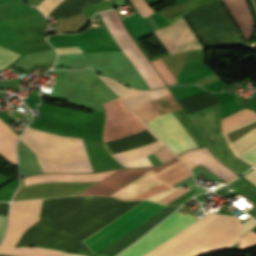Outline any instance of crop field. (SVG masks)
I'll use <instances>...</instances> for the list:
<instances>
[{
	"label": "crop field",
	"mask_w": 256,
	"mask_h": 256,
	"mask_svg": "<svg viewBox=\"0 0 256 256\" xmlns=\"http://www.w3.org/2000/svg\"><path fill=\"white\" fill-rule=\"evenodd\" d=\"M103 198V196H76L26 230L16 247L39 244ZM141 201H122L106 197L39 245L89 252L90 250L80 242L81 240Z\"/></svg>",
	"instance_id": "crop-field-1"
},
{
	"label": "crop field",
	"mask_w": 256,
	"mask_h": 256,
	"mask_svg": "<svg viewBox=\"0 0 256 256\" xmlns=\"http://www.w3.org/2000/svg\"><path fill=\"white\" fill-rule=\"evenodd\" d=\"M20 140L36 154L43 173L93 172L82 139L26 129Z\"/></svg>",
	"instance_id": "crop-field-2"
},
{
	"label": "crop field",
	"mask_w": 256,
	"mask_h": 256,
	"mask_svg": "<svg viewBox=\"0 0 256 256\" xmlns=\"http://www.w3.org/2000/svg\"><path fill=\"white\" fill-rule=\"evenodd\" d=\"M72 197L44 199V208L43 199L12 203L7 235L1 244L0 253L12 256H61L64 252L44 248L14 247L24 231L42 218V208L45 216Z\"/></svg>",
	"instance_id": "crop-field-3"
},
{
	"label": "crop field",
	"mask_w": 256,
	"mask_h": 256,
	"mask_svg": "<svg viewBox=\"0 0 256 256\" xmlns=\"http://www.w3.org/2000/svg\"><path fill=\"white\" fill-rule=\"evenodd\" d=\"M186 15L205 46L244 43L218 0L199 6Z\"/></svg>",
	"instance_id": "crop-field-4"
},
{
	"label": "crop field",
	"mask_w": 256,
	"mask_h": 256,
	"mask_svg": "<svg viewBox=\"0 0 256 256\" xmlns=\"http://www.w3.org/2000/svg\"><path fill=\"white\" fill-rule=\"evenodd\" d=\"M166 207L145 200L81 242L97 254Z\"/></svg>",
	"instance_id": "crop-field-5"
},
{
	"label": "crop field",
	"mask_w": 256,
	"mask_h": 256,
	"mask_svg": "<svg viewBox=\"0 0 256 256\" xmlns=\"http://www.w3.org/2000/svg\"><path fill=\"white\" fill-rule=\"evenodd\" d=\"M234 218L236 217L208 214L145 256H182Z\"/></svg>",
	"instance_id": "crop-field-6"
},
{
	"label": "crop field",
	"mask_w": 256,
	"mask_h": 256,
	"mask_svg": "<svg viewBox=\"0 0 256 256\" xmlns=\"http://www.w3.org/2000/svg\"><path fill=\"white\" fill-rule=\"evenodd\" d=\"M220 105L189 114L212 152L240 175L251 168L250 165L235 158L220 134Z\"/></svg>",
	"instance_id": "crop-field-7"
},
{
	"label": "crop field",
	"mask_w": 256,
	"mask_h": 256,
	"mask_svg": "<svg viewBox=\"0 0 256 256\" xmlns=\"http://www.w3.org/2000/svg\"><path fill=\"white\" fill-rule=\"evenodd\" d=\"M196 220L189 213L184 216L176 211L119 256H143Z\"/></svg>",
	"instance_id": "crop-field-8"
},
{
	"label": "crop field",
	"mask_w": 256,
	"mask_h": 256,
	"mask_svg": "<svg viewBox=\"0 0 256 256\" xmlns=\"http://www.w3.org/2000/svg\"><path fill=\"white\" fill-rule=\"evenodd\" d=\"M104 23L110 29L115 39L119 43L120 47L130 59V61L137 67L143 78L146 80L150 88L164 86L161 79L154 72V70L149 66L146 60L143 58V54L138 51V47H135V43L130 40V36L128 37L125 32L123 26L118 20L114 10L106 11L100 13Z\"/></svg>",
	"instance_id": "crop-field-9"
},
{
	"label": "crop field",
	"mask_w": 256,
	"mask_h": 256,
	"mask_svg": "<svg viewBox=\"0 0 256 256\" xmlns=\"http://www.w3.org/2000/svg\"><path fill=\"white\" fill-rule=\"evenodd\" d=\"M145 124L176 154L197 147L172 112L161 114Z\"/></svg>",
	"instance_id": "crop-field-10"
},
{
	"label": "crop field",
	"mask_w": 256,
	"mask_h": 256,
	"mask_svg": "<svg viewBox=\"0 0 256 256\" xmlns=\"http://www.w3.org/2000/svg\"><path fill=\"white\" fill-rule=\"evenodd\" d=\"M154 32L170 54L202 48L183 17Z\"/></svg>",
	"instance_id": "crop-field-11"
},
{
	"label": "crop field",
	"mask_w": 256,
	"mask_h": 256,
	"mask_svg": "<svg viewBox=\"0 0 256 256\" xmlns=\"http://www.w3.org/2000/svg\"><path fill=\"white\" fill-rule=\"evenodd\" d=\"M238 235L239 221L236 218L183 256H202L206 253L219 252L233 244Z\"/></svg>",
	"instance_id": "crop-field-12"
},
{
	"label": "crop field",
	"mask_w": 256,
	"mask_h": 256,
	"mask_svg": "<svg viewBox=\"0 0 256 256\" xmlns=\"http://www.w3.org/2000/svg\"><path fill=\"white\" fill-rule=\"evenodd\" d=\"M178 157L191 169L199 164L204 165L227 182L238 177L215 159L207 148L187 152Z\"/></svg>",
	"instance_id": "crop-field-13"
},
{
	"label": "crop field",
	"mask_w": 256,
	"mask_h": 256,
	"mask_svg": "<svg viewBox=\"0 0 256 256\" xmlns=\"http://www.w3.org/2000/svg\"><path fill=\"white\" fill-rule=\"evenodd\" d=\"M179 206H169L154 217H152L150 220L100 252L99 256H115L120 251H122L124 248L129 246L131 243H133L135 240H137L139 237H141L144 233L149 231L151 228L156 226L159 222H161L165 217H167L171 212H173L176 208Z\"/></svg>",
	"instance_id": "crop-field-14"
},
{
	"label": "crop field",
	"mask_w": 256,
	"mask_h": 256,
	"mask_svg": "<svg viewBox=\"0 0 256 256\" xmlns=\"http://www.w3.org/2000/svg\"><path fill=\"white\" fill-rule=\"evenodd\" d=\"M102 79L124 99L132 111L152 99L169 94L166 88L151 91H137L132 88L129 89L112 79L106 77H102Z\"/></svg>",
	"instance_id": "crop-field-15"
},
{
	"label": "crop field",
	"mask_w": 256,
	"mask_h": 256,
	"mask_svg": "<svg viewBox=\"0 0 256 256\" xmlns=\"http://www.w3.org/2000/svg\"><path fill=\"white\" fill-rule=\"evenodd\" d=\"M164 146L159 140L150 144L136 147L124 152L111 154L115 159L126 167H144L151 166L146 156L156 152Z\"/></svg>",
	"instance_id": "crop-field-16"
},
{
	"label": "crop field",
	"mask_w": 256,
	"mask_h": 256,
	"mask_svg": "<svg viewBox=\"0 0 256 256\" xmlns=\"http://www.w3.org/2000/svg\"><path fill=\"white\" fill-rule=\"evenodd\" d=\"M235 21L242 30L247 42L253 30V20L245 0H223Z\"/></svg>",
	"instance_id": "crop-field-17"
},
{
	"label": "crop field",
	"mask_w": 256,
	"mask_h": 256,
	"mask_svg": "<svg viewBox=\"0 0 256 256\" xmlns=\"http://www.w3.org/2000/svg\"><path fill=\"white\" fill-rule=\"evenodd\" d=\"M254 118H256V113L243 109L222 120L223 132Z\"/></svg>",
	"instance_id": "crop-field-18"
},
{
	"label": "crop field",
	"mask_w": 256,
	"mask_h": 256,
	"mask_svg": "<svg viewBox=\"0 0 256 256\" xmlns=\"http://www.w3.org/2000/svg\"><path fill=\"white\" fill-rule=\"evenodd\" d=\"M190 175H192L191 171L181 163L157 177L172 185Z\"/></svg>",
	"instance_id": "crop-field-19"
},
{
	"label": "crop field",
	"mask_w": 256,
	"mask_h": 256,
	"mask_svg": "<svg viewBox=\"0 0 256 256\" xmlns=\"http://www.w3.org/2000/svg\"><path fill=\"white\" fill-rule=\"evenodd\" d=\"M135 115L143 122H147L151 118L159 115L152 104L149 102L144 106L138 108L137 110L133 111Z\"/></svg>",
	"instance_id": "crop-field-20"
},
{
	"label": "crop field",
	"mask_w": 256,
	"mask_h": 256,
	"mask_svg": "<svg viewBox=\"0 0 256 256\" xmlns=\"http://www.w3.org/2000/svg\"><path fill=\"white\" fill-rule=\"evenodd\" d=\"M18 56L19 55L0 47V69L7 66L9 63L15 60Z\"/></svg>",
	"instance_id": "crop-field-21"
},
{
	"label": "crop field",
	"mask_w": 256,
	"mask_h": 256,
	"mask_svg": "<svg viewBox=\"0 0 256 256\" xmlns=\"http://www.w3.org/2000/svg\"><path fill=\"white\" fill-rule=\"evenodd\" d=\"M138 11L141 13L143 18L149 16L150 14L156 12L153 10L145 0H132Z\"/></svg>",
	"instance_id": "crop-field-22"
},
{
	"label": "crop field",
	"mask_w": 256,
	"mask_h": 256,
	"mask_svg": "<svg viewBox=\"0 0 256 256\" xmlns=\"http://www.w3.org/2000/svg\"><path fill=\"white\" fill-rule=\"evenodd\" d=\"M158 159L164 163L170 159H172L173 157H175L172 152L166 148V147H163L161 150H159L158 152L154 153Z\"/></svg>",
	"instance_id": "crop-field-23"
},
{
	"label": "crop field",
	"mask_w": 256,
	"mask_h": 256,
	"mask_svg": "<svg viewBox=\"0 0 256 256\" xmlns=\"http://www.w3.org/2000/svg\"><path fill=\"white\" fill-rule=\"evenodd\" d=\"M191 189L189 188H180L178 190H176L175 192L169 194L168 196L164 197L161 201H159L160 203H164L167 204L169 202H171L172 200H174L175 198L179 197L180 195H182L183 193L189 191Z\"/></svg>",
	"instance_id": "crop-field-24"
},
{
	"label": "crop field",
	"mask_w": 256,
	"mask_h": 256,
	"mask_svg": "<svg viewBox=\"0 0 256 256\" xmlns=\"http://www.w3.org/2000/svg\"><path fill=\"white\" fill-rule=\"evenodd\" d=\"M238 158H240L252 165L256 164V146Z\"/></svg>",
	"instance_id": "crop-field-25"
},
{
	"label": "crop field",
	"mask_w": 256,
	"mask_h": 256,
	"mask_svg": "<svg viewBox=\"0 0 256 256\" xmlns=\"http://www.w3.org/2000/svg\"><path fill=\"white\" fill-rule=\"evenodd\" d=\"M256 226V220L249 219L248 221L241 224V236L244 235L247 231L251 230L253 227Z\"/></svg>",
	"instance_id": "crop-field-26"
},
{
	"label": "crop field",
	"mask_w": 256,
	"mask_h": 256,
	"mask_svg": "<svg viewBox=\"0 0 256 256\" xmlns=\"http://www.w3.org/2000/svg\"><path fill=\"white\" fill-rule=\"evenodd\" d=\"M59 55L83 53L78 47L56 48Z\"/></svg>",
	"instance_id": "crop-field-27"
},
{
	"label": "crop field",
	"mask_w": 256,
	"mask_h": 256,
	"mask_svg": "<svg viewBox=\"0 0 256 256\" xmlns=\"http://www.w3.org/2000/svg\"><path fill=\"white\" fill-rule=\"evenodd\" d=\"M246 184H248V183H246L245 181H243V180L237 178L235 181H233V182L230 183L229 185H230L231 189L235 191V190L241 188L242 186H244V185H246ZM242 188H243V187H242ZM235 192H236V191H235Z\"/></svg>",
	"instance_id": "crop-field-28"
},
{
	"label": "crop field",
	"mask_w": 256,
	"mask_h": 256,
	"mask_svg": "<svg viewBox=\"0 0 256 256\" xmlns=\"http://www.w3.org/2000/svg\"><path fill=\"white\" fill-rule=\"evenodd\" d=\"M176 189L174 190H169V191H165V192H162V193H159V194H156V195H153L151 197L148 198V200H152V201H156L158 202L160 199H162L164 196L168 195L169 193L175 191Z\"/></svg>",
	"instance_id": "crop-field-29"
},
{
	"label": "crop field",
	"mask_w": 256,
	"mask_h": 256,
	"mask_svg": "<svg viewBox=\"0 0 256 256\" xmlns=\"http://www.w3.org/2000/svg\"><path fill=\"white\" fill-rule=\"evenodd\" d=\"M7 217L0 216V239L4 233Z\"/></svg>",
	"instance_id": "crop-field-30"
},
{
	"label": "crop field",
	"mask_w": 256,
	"mask_h": 256,
	"mask_svg": "<svg viewBox=\"0 0 256 256\" xmlns=\"http://www.w3.org/2000/svg\"><path fill=\"white\" fill-rule=\"evenodd\" d=\"M247 178L250 182L256 185V169L244 176Z\"/></svg>",
	"instance_id": "crop-field-31"
},
{
	"label": "crop field",
	"mask_w": 256,
	"mask_h": 256,
	"mask_svg": "<svg viewBox=\"0 0 256 256\" xmlns=\"http://www.w3.org/2000/svg\"><path fill=\"white\" fill-rule=\"evenodd\" d=\"M247 213L256 218V207L254 209H252L251 211L247 212Z\"/></svg>",
	"instance_id": "crop-field-32"
},
{
	"label": "crop field",
	"mask_w": 256,
	"mask_h": 256,
	"mask_svg": "<svg viewBox=\"0 0 256 256\" xmlns=\"http://www.w3.org/2000/svg\"><path fill=\"white\" fill-rule=\"evenodd\" d=\"M63 256H86L83 254H69V253H65Z\"/></svg>",
	"instance_id": "crop-field-33"
},
{
	"label": "crop field",
	"mask_w": 256,
	"mask_h": 256,
	"mask_svg": "<svg viewBox=\"0 0 256 256\" xmlns=\"http://www.w3.org/2000/svg\"><path fill=\"white\" fill-rule=\"evenodd\" d=\"M113 1H114V3H115L116 7H118V5H119V3H120L121 0H113Z\"/></svg>",
	"instance_id": "crop-field-34"
},
{
	"label": "crop field",
	"mask_w": 256,
	"mask_h": 256,
	"mask_svg": "<svg viewBox=\"0 0 256 256\" xmlns=\"http://www.w3.org/2000/svg\"><path fill=\"white\" fill-rule=\"evenodd\" d=\"M0 256H7V255H0Z\"/></svg>",
	"instance_id": "crop-field-35"
},
{
	"label": "crop field",
	"mask_w": 256,
	"mask_h": 256,
	"mask_svg": "<svg viewBox=\"0 0 256 256\" xmlns=\"http://www.w3.org/2000/svg\"><path fill=\"white\" fill-rule=\"evenodd\" d=\"M255 168H256V166H255Z\"/></svg>",
	"instance_id": "crop-field-36"
}]
</instances>
